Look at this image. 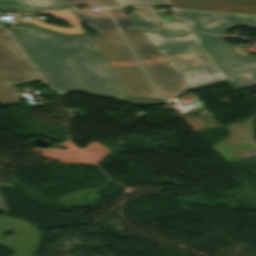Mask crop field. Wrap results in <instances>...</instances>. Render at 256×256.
Masks as SVG:
<instances>
[{
	"label": "crop field",
	"instance_id": "1",
	"mask_svg": "<svg viewBox=\"0 0 256 256\" xmlns=\"http://www.w3.org/2000/svg\"><path fill=\"white\" fill-rule=\"evenodd\" d=\"M11 34L57 96L81 92L122 103L165 104L127 97L92 36H63L34 26H13Z\"/></svg>",
	"mask_w": 256,
	"mask_h": 256
},
{
	"label": "crop field",
	"instance_id": "2",
	"mask_svg": "<svg viewBox=\"0 0 256 256\" xmlns=\"http://www.w3.org/2000/svg\"><path fill=\"white\" fill-rule=\"evenodd\" d=\"M140 29L189 88L226 79L192 32L182 36H169Z\"/></svg>",
	"mask_w": 256,
	"mask_h": 256
},
{
	"label": "crop field",
	"instance_id": "3",
	"mask_svg": "<svg viewBox=\"0 0 256 256\" xmlns=\"http://www.w3.org/2000/svg\"><path fill=\"white\" fill-rule=\"evenodd\" d=\"M93 38L127 96L159 98L119 31Z\"/></svg>",
	"mask_w": 256,
	"mask_h": 256
},
{
	"label": "crop field",
	"instance_id": "4",
	"mask_svg": "<svg viewBox=\"0 0 256 256\" xmlns=\"http://www.w3.org/2000/svg\"><path fill=\"white\" fill-rule=\"evenodd\" d=\"M122 33L163 97L178 98L189 89L139 28L123 30Z\"/></svg>",
	"mask_w": 256,
	"mask_h": 256
},
{
	"label": "crop field",
	"instance_id": "5",
	"mask_svg": "<svg viewBox=\"0 0 256 256\" xmlns=\"http://www.w3.org/2000/svg\"><path fill=\"white\" fill-rule=\"evenodd\" d=\"M193 34L236 90L256 86V57L243 59L224 40Z\"/></svg>",
	"mask_w": 256,
	"mask_h": 256
},
{
	"label": "crop field",
	"instance_id": "6",
	"mask_svg": "<svg viewBox=\"0 0 256 256\" xmlns=\"http://www.w3.org/2000/svg\"><path fill=\"white\" fill-rule=\"evenodd\" d=\"M39 80L41 78L15 43L0 28V84H21Z\"/></svg>",
	"mask_w": 256,
	"mask_h": 256
},
{
	"label": "crop field",
	"instance_id": "7",
	"mask_svg": "<svg viewBox=\"0 0 256 256\" xmlns=\"http://www.w3.org/2000/svg\"><path fill=\"white\" fill-rule=\"evenodd\" d=\"M191 29L219 36L242 24L256 28V17L178 11Z\"/></svg>",
	"mask_w": 256,
	"mask_h": 256
},
{
	"label": "crop field",
	"instance_id": "8",
	"mask_svg": "<svg viewBox=\"0 0 256 256\" xmlns=\"http://www.w3.org/2000/svg\"><path fill=\"white\" fill-rule=\"evenodd\" d=\"M175 8L256 15V0H170Z\"/></svg>",
	"mask_w": 256,
	"mask_h": 256
},
{
	"label": "crop field",
	"instance_id": "9",
	"mask_svg": "<svg viewBox=\"0 0 256 256\" xmlns=\"http://www.w3.org/2000/svg\"><path fill=\"white\" fill-rule=\"evenodd\" d=\"M128 16L138 27L146 29L164 32L171 35L184 34L190 31L185 23H172L171 21L174 20L173 17H167L169 20H165V18L159 19L153 9H134L128 14Z\"/></svg>",
	"mask_w": 256,
	"mask_h": 256
},
{
	"label": "crop field",
	"instance_id": "10",
	"mask_svg": "<svg viewBox=\"0 0 256 256\" xmlns=\"http://www.w3.org/2000/svg\"><path fill=\"white\" fill-rule=\"evenodd\" d=\"M68 8L61 0H0V10L19 13L43 12Z\"/></svg>",
	"mask_w": 256,
	"mask_h": 256
},
{
	"label": "crop field",
	"instance_id": "11",
	"mask_svg": "<svg viewBox=\"0 0 256 256\" xmlns=\"http://www.w3.org/2000/svg\"><path fill=\"white\" fill-rule=\"evenodd\" d=\"M42 14L54 16L60 20L65 21L69 26L66 28L57 27L53 24H46L42 20H38V19H26V20H18V21L31 22V23L35 24L36 26L55 30V31L65 33V34H85L83 29L81 28L80 20L73 13L72 10H64L62 12L53 11V12H46V13H42Z\"/></svg>",
	"mask_w": 256,
	"mask_h": 256
},
{
	"label": "crop field",
	"instance_id": "12",
	"mask_svg": "<svg viewBox=\"0 0 256 256\" xmlns=\"http://www.w3.org/2000/svg\"><path fill=\"white\" fill-rule=\"evenodd\" d=\"M73 11L83 23L97 29L99 33L117 30L110 15L105 9L98 11H93L91 9Z\"/></svg>",
	"mask_w": 256,
	"mask_h": 256
},
{
	"label": "crop field",
	"instance_id": "13",
	"mask_svg": "<svg viewBox=\"0 0 256 256\" xmlns=\"http://www.w3.org/2000/svg\"><path fill=\"white\" fill-rule=\"evenodd\" d=\"M120 6H144V7H161L168 5L167 0H116Z\"/></svg>",
	"mask_w": 256,
	"mask_h": 256
},
{
	"label": "crop field",
	"instance_id": "14",
	"mask_svg": "<svg viewBox=\"0 0 256 256\" xmlns=\"http://www.w3.org/2000/svg\"><path fill=\"white\" fill-rule=\"evenodd\" d=\"M18 103V94L13 86H0V106Z\"/></svg>",
	"mask_w": 256,
	"mask_h": 256
},
{
	"label": "crop field",
	"instance_id": "15",
	"mask_svg": "<svg viewBox=\"0 0 256 256\" xmlns=\"http://www.w3.org/2000/svg\"><path fill=\"white\" fill-rule=\"evenodd\" d=\"M120 30L137 27L122 9H109Z\"/></svg>",
	"mask_w": 256,
	"mask_h": 256
},
{
	"label": "crop field",
	"instance_id": "16",
	"mask_svg": "<svg viewBox=\"0 0 256 256\" xmlns=\"http://www.w3.org/2000/svg\"><path fill=\"white\" fill-rule=\"evenodd\" d=\"M69 8L73 4H85L90 7H101L95 0H62ZM103 7L119 6L115 0H97Z\"/></svg>",
	"mask_w": 256,
	"mask_h": 256
}]
</instances>
